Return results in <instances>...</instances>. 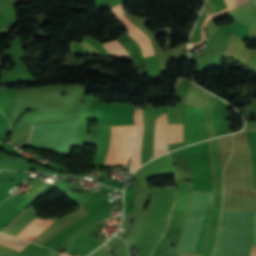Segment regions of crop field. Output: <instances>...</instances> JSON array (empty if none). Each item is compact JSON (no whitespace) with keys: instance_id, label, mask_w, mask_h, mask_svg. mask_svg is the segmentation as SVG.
<instances>
[{"instance_id":"dd49c442","label":"crop field","mask_w":256,"mask_h":256,"mask_svg":"<svg viewBox=\"0 0 256 256\" xmlns=\"http://www.w3.org/2000/svg\"><path fill=\"white\" fill-rule=\"evenodd\" d=\"M182 125H168V144L182 141Z\"/></svg>"},{"instance_id":"d8731c3e","label":"crop field","mask_w":256,"mask_h":256,"mask_svg":"<svg viewBox=\"0 0 256 256\" xmlns=\"http://www.w3.org/2000/svg\"><path fill=\"white\" fill-rule=\"evenodd\" d=\"M134 121L136 124L137 134H139L141 131H143V121H142V110L136 108L135 114H134Z\"/></svg>"},{"instance_id":"412701ff","label":"crop field","mask_w":256,"mask_h":256,"mask_svg":"<svg viewBox=\"0 0 256 256\" xmlns=\"http://www.w3.org/2000/svg\"><path fill=\"white\" fill-rule=\"evenodd\" d=\"M103 47L115 58L119 59H132L131 56L126 52V50L121 46L118 40L103 43Z\"/></svg>"},{"instance_id":"5a996713","label":"crop field","mask_w":256,"mask_h":256,"mask_svg":"<svg viewBox=\"0 0 256 256\" xmlns=\"http://www.w3.org/2000/svg\"><path fill=\"white\" fill-rule=\"evenodd\" d=\"M224 1H225L226 5L228 7V10L236 7L234 2H233V0H224ZM234 1H235L236 5L238 6V5L244 3V2H246L248 0H234Z\"/></svg>"},{"instance_id":"ac0d7876","label":"crop field","mask_w":256,"mask_h":256,"mask_svg":"<svg viewBox=\"0 0 256 256\" xmlns=\"http://www.w3.org/2000/svg\"><path fill=\"white\" fill-rule=\"evenodd\" d=\"M124 2L119 6L112 8V12L117 20L122 23L128 30V35L133 38L141 47L143 56L154 55L153 49L151 46L150 39L147 35L141 32L138 28H136L124 15Z\"/></svg>"},{"instance_id":"34b2d1b8","label":"crop field","mask_w":256,"mask_h":256,"mask_svg":"<svg viewBox=\"0 0 256 256\" xmlns=\"http://www.w3.org/2000/svg\"><path fill=\"white\" fill-rule=\"evenodd\" d=\"M212 204H213V193H210L209 207H208L207 214H206V217L204 220L203 228L201 231V235L199 238V242H198V246H197L195 254L203 253L207 230H208V226H209V222H210V218H211Z\"/></svg>"},{"instance_id":"e52e79f7","label":"crop field","mask_w":256,"mask_h":256,"mask_svg":"<svg viewBox=\"0 0 256 256\" xmlns=\"http://www.w3.org/2000/svg\"><path fill=\"white\" fill-rule=\"evenodd\" d=\"M143 132L139 135H137L135 147H134V152H133V159H132V167H131V173L138 167H140V154H139V149H140V144H141V139H142Z\"/></svg>"},{"instance_id":"f4fd0767","label":"crop field","mask_w":256,"mask_h":256,"mask_svg":"<svg viewBox=\"0 0 256 256\" xmlns=\"http://www.w3.org/2000/svg\"><path fill=\"white\" fill-rule=\"evenodd\" d=\"M0 244L6 245L8 247L21 251L25 246L29 244V242L19 238L12 237V236L4 235L1 233Z\"/></svg>"},{"instance_id":"8a807250","label":"crop field","mask_w":256,"mask_h":256,"mask_svg":"<svg viewBox=\"0 0 256 256\" xmlns=\"http://www.w3.org/2000/svg\"><path fill=\"white\" fill-rule=\"evenodd\" d=\"M135 139L134 125L110 126L104 166L126 165Z\"/></svg>"},{"instance_id":"3316defc","label":"crop field","mask_w":256,"mask_h":256,"mask_svg":"<svg viewBox=\"0 0 256 256\" xmlns=\"http://www.w3.org/2000/svg\"><path fill=\"white\" fill-rule=\"evenodd\" d=\"M251 256H256V245H254L252 248Z\"/></svg>"}]
</instances>
